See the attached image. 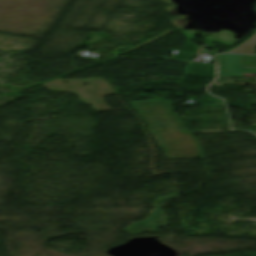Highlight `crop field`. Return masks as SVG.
Instances as JSON below:
<instances>
[{"mask_svg": "<svg viewBox=\"0 0 256 256\" xmlns=\"http://www.w3.org/2000/svg\"><path fill=\"white\" fill-rule=\"evenodd\" d=\"M130 103L169 158L202 156L196 140L174 115L169 101Z\"/></svg>", "mask_w": 256, "mask_h": 256, "instance_id": "8a807250", "label": "crop field"}, {"mask_svg": "<svg viewBox=\"0 0 256 256\" xmlns=\"http://www.w3.org/2000/svg\"><path fill=\"white\" fill-rule=\"evenodd\" d=\"M255 48H256V33L246 42L234 48L233 50H230L229 52L254 54Z\"/></svg>", "mask_w": 256, "mask_h": 256, "instance_id": "ac0d7876", "label": "crop field"}]
</instances>
